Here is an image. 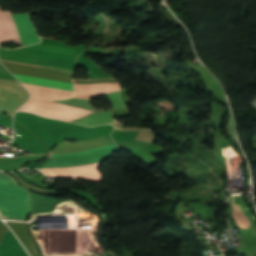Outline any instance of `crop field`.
I'll return each instance as SVG.
<instances>
[{
  "label": "crop field",
  "instance_id": "7",
  "mask_svg": "<svg viewBox=\"0 0 256 256\" xmlns=\"http://www.w3.org/2000/svg\"><path fill=\"white\" fill-rule=\"evenodd\" d=\"M12 74L15 75L19 79V81L23 83H29V84H35L40 86L73 91L72 84L70 83H64V82L36 78V77L25 76V75L14 74V73Z\"/></svg>",
  "mask_w": 256,
  "mask_h": 256
},
{
  "label": "crop field",
  "instance_id": "5",
  "mask_svg": "<svg viewBox=\"0 0 256 256\" xmlns=\"http://www.w3.org/2000/svg\"><path fill=\"white\" fill-rule=\"evenodd\" d=\"M0 87L23 89V86L17 81L0 79ZM0 88V112L5 111L12 117L14 111L26 102L29 95L23 90Z\"/></svg>",
  "mask_w": 256,
  "mask_h": 256
},
{
  "label": "crop field",
  "instance_id": "2",
  "mask_svg": "<svg viewBox=\"0 0 256 256\" xmlns=\"http://www.w3.org/2000/svg\"><path fill=\"white\" fill-rule=\"evenodd\" d=\"M30 211L29 191L0 171V216L24 219Z\"/></svg>",
  "mask_w": 256,
  "mask_h": 256
},
{
  "label": "crop field",
  "instance_id": "4",
  "mask_svg": "<svg viewBox=\"0 0 256 256\" xmlns=\"http://www.w3.org/2000/svg\"><path fill=\"white\" fill-rule=\"evenodd\" d=\"M115 150L119 148L115 145H108L79 153L50 154L42 167H67L99 162L112 157L111 152Z\"/></svg>",
  "mask_w": 256,
  "mask_h": 256
},
{
  "label": "crop field",
  "instance_id": "9",
  "mask_svg": "<svg viewBox=\"0 0 256 256\" xmlns=\"http://www.w3.org/2000/svg\"><path fill=\"white\" fill-rule=\"evenodd\" d=\"M27 48H33V49H39V50H45V51H51V52L69 54V55H72L74 52L77 51L75 49L61 48V47H55V46H49V45H43V44L28 46Z\"/></svg>",
  "mask_w": 256,
  "mask_h": 256
},
{
  "label": "crop field",
  "instance_id": "8",
  "mask_svg": "<svg viewBox=\"0 0 256 256\" xmlns=\"http://www.w3.org/2000/svg\"><path fill=\"white\" fill-rule=\"evenodd\" d=\"M12 226V228L15 230V232L20 236L21 240L25 243V245L28 247L30 253L33 256H39L35 245L32 240L29 239V235L26 231V228L23 226L22 223H16V222H8Z\"/></svg>",
  "mask_w": 256,
  "mask_h": 256
},
{
  "label": "crop field",
  "instance_id": "6",
  "mask_svg": "<svg viewBox=\"0 0 256 256\" xmlns=\"http://www.w3.org/2000/svg\"><path fill=\"white\" fill-rule=\"evenodd\" d=\"M3 64L11 72H14V73H20V74H25V75H31V76H36V77H42V78H48V79L72 83L71 74H69V73H63V72H57V71L9 64V63H3Z\"/></svg>",
  "mask_w": 256,
  "mask_h": 256
},
{
  "label": "crop field",
  "instance_id": "11",
  "mask_svg": "<svg viewBox=\"0 0 256 256\" xmlns=\"http://www.w3.org/2000/svg\"><path fill=\"white\" fill-rule=\"evenodd\" d=\"M41 68H47V67H42V66H40ZM47 69H52V70H58V69H53V68H47ZM58 71H63V70H58ZM63 72H69V71H63ZM69 73H71V72H69Z\"/></svg>",
  "mask_w": 256,
  "mask_h": 256
},
{
  "label": "crop field",
  "instance_id": "1",
  "mask_svg": "<svg viewBox=\"0 0 256 256\" xmlns=\"http://www.w3.org/2000/svg\"><path fill=\"white\" fill-rule=\"evenodd\" d=\"M103 91L107 99L109 100L112 108H121L127 109L124 105L121 96H120V86L118 82L102 83ZM102 85L101 83L93 84H74L75 87V96L77 98H86L91 99L99 94H102ZM116 121L113 116L112 109L102 112H97L76 120L80 124L87 126H93L100 123H111Z\"/></svg>",
  "mask_w": 256,
  "mask_h": 256
},
{
  "label": "crop field",
  "instance_id": "3",
  "mask_svg": "<svg viewBox=\"0 0 256 256\" xmlns=\"http://www.w3.org/2000/svg\"><path fill=\"white\" fill-rule=\"evenodd\" d=\"M39 40L29 14L11 15L10 12H0V43L13 41L30 45Z\"/></svg>",
  "mask_w": 256,
  "mask_h": 256
},
{
  "label": "crop field",
  "instance_id": "10",
  "mask_svg": "<svg viewBox=\"0 0 256 256\" xmlns=\"http://www.w3.org/2000/svg\"><path fill=\"white\" fill-rule=\"evenodd\" d=\"M7 227L0 221V242L2 240V237L6 231Z\"/></svg>",
  "mask_w": 256,
  "mask_h": 256
}]
</instances>
